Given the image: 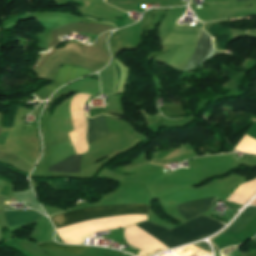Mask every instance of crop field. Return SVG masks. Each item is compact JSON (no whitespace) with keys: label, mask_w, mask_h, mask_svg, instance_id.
Returning a JSON list of instances; mask_svg holds the SVG:
<instances>
[{"label":"crop field","mask_w":256,"mask_h":256,"mask_svg":"<svg viewBox=\"0 0 256 256\" xmlns=\"http://www.w3.org/2000/svg\"><path fill=\"white\" fill-rule=\"evenodd\" d=\"M148 208L149 206L142 202L97 205L80 208L50 219L55 226V229H57L93 219L111 216L147 214ZM135 226L169 249L213 233L223 227L220 222L204 215L181 224L171 230L149 221L136 224Z\"/></svg>","instance_id":"1"},{"label":"crop field","mask_w":256,"mask_h":256,"mask_svg":"<svg viewBox=\"0 0 256 256\" xmlns=\"http://www.w3.org/2000/svg\"><path fill=\"white\" fill-rule=\"evenodd\" d=\"M6 219L9 226L19 225L29 222H34L42 214L36 211H27V212H16V211H7L5 212Z\"/></svg>","instance_id":"7"},{"label":"crop field","mask_w":256,"mask_h":256,"mask_svg":"<svg viewBox=\"0 0 256 256\" xmlns=\"http://www.w3.org/2000/svg\"><path fill=\"white\" fill-rule=\"evenodd\" d=\"M200 30L201 28H198V27L180 26V25L174 26V31H179V32L199 33Z\"/></svg>","instance_id":"11"},{"label":"crop field","mask_w":256,"mask_h":256,"mask_svg":"<svg viewBox=\"0 0 256 256\" xmlns=\"http://www.w3.org/2000/svg\"><path fill=\"white\" fill-rule=\"evenodd\" d=\"M105 118L98 116L96 118H88L87 142H92L100 137L109 134Z\"/></svg>","instance_id":"5"},{"label":"crop field","mask_w":256,"mask_h":256,"mask_svg":"<svg viewBox=\"0 0 256 256\" xmlns=\"http://www.w3.org/2000/svg\"><path fill=\"white\" fill-rule=\"evenodd\" d=\"M198 35L173 33L162 44H196Z\"/></svg>","instance_id":"9"},{"label":"crop field","mask_w":256,"mask_h":256,"mask_svg":"<svg viewBox=\"0 0 256 256\" xmlns=\"http://www.w3.org/2000/svg\"><path fill=\"white\" fill-rule=\"evenodd\" d=\"M239 1H248V0H239Z\"/></svg>","instance_id":"13"},{"label":"crop field","mask_w":256,"mask_h":256,"mask_svg":"<svg viewBox=\"0 0 256 256\" xmlns=\"http://www.w3.org/2000/svg\"><path fill=\"white\" fill-rule=\"evenodd\" d=\"M88 74H91V72L82 68L63 65L60 67L57 75L53 78L52 83L45 87L51 91H55L60 86L74 80L75 78Z\"/></svg>","instance_id":"3"},{"label":"crop field","mask_w":256,"mask_h":256,"mask_svg":"<svg viewBox=\"0 0 256 256\" xmlns=\"http://www.w3.org/2000/svg\"><path fill=\"white\" fill-rule=\"evenodd\" d=\"M256 207L248 206L246 210L240 215V217L225 231L240 233L244 227L255 217Z\"/></svg>","instance_id":"8"},{"label":"crop field","mask_w":256,"mask_h":256,"mask_svg":"<svg viewBox=\"0 0 256 256\" xmlns=\"http://www.w3.org/2000/svg\"><path fill=\"white\" fill-rule=\"evenodd\" d=\"M216 197L185 202L177 205L178 212L187 220L206 212Z\"/></svg>","instance_id":"4"},{"label":"crop field","mask_w":256,"mask_h":256,"mask_svg":"<svg viewBox=\"0 0 256 256\" xmlns=\"http://www.w3.org/2000/svg\"><path fill=\"white\" fill-rule=\"evenodd\" d=\"M83 115H84V107H83ZM84 120H85V115H84Z\"/></svg>","instance_id":"12"},{"label":"crop field","mask_w":256,"mask_h":256,"mask_svg":"<svg viewBox=\"0 0 256 256\" xmlns=\"http://www.w3.org/2000/svg\"><path fill=\"white\" fill-rule=\"evenodd\" d=\"M215 53L211 38L202 30L197 45L191 59L187 63L183 71L196 67L197 64H202L206 59L210 58Z\"/></svg>","instance_id":"2"},{"label":"crop field","mask_w":256,"mask_h":256,"mask_svg":"<svg viewBox=\"0 0 256 256\" xmlns=\"http://www.w3.org/2000/svg\"><path fill=\"white\" fill-rule=\"evenodd\" d=\"M40 245L41 247L59 249L69 253H79L89 247V246H79V245H60L55 242H44V243H41Z\"/></svg>","instance_id":"10"},{"label":"crop field","mask_w":256,"mask_h":256,"mask_svg":"<svg viewBox=\"0 0 256 256\" xmlns=\"http://www.w3.org/2000/svg\"><path fill=\"white\" fill-rule=\"evenodd\" d=\"M255 241H256V237H255V239H254Z\"/></svg>","instance_id":"14"},{"label":"crop field","mask_w":256,"mask_h":256,"mask_svg":"<svg viewBox=\"0 0 256 256\" xmlns=\"http://www.w3.org/2000/svg\"><path fill=\"white\" fill-rule=\"evenodd\" d=\"M82 155H72L58 164L50 166L49 171L62 173H78Z\"/></svg>","instance_id":"6"}]
</instances>
